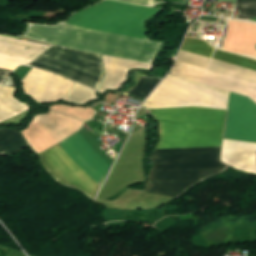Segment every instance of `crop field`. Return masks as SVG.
<instances>
[{
	"label": "crop field",
	"mask_w": 256,
	"mask_h": 256,
	"mask_svg": "<svg viewBox=\"0 0 256 256\" xmlns=\"http://www.w3.org/2000/svg\"><path fill=\"white\" fill-rule=\"evenodd\" d=\"M160 123L155 149L221 146L226 111L203 108L149 110ZM221 147L153 150L154 168L144 191L178 198L188 188L230 167Z\"/></svg>",
	"instance_id": "8a807250"
},
{
	"label": "crop field",
	"mask_w": 256,
	"mask_h": 256,
	"mask_svg": "<svg viewBox=\"0 0 256 256\" xmlns=\"http://www.w3.org/2000/svg\"><path fill=\"white\" fill-rule=\"evenodd\" d=\"M236 8L239 11L237 18L245 20L256 19V0H237Z\"/></svg>",
	"instance_id": "d9b57169"
},
{
	"label": "crop field",
	"mask_w": 256,
	"mask_h": 256,
	"mask_svg": "<svg viewBox=\"0 0 256 256\" xmlns=\"http://www.w3.org/2000/svg\"><path fill=\"white\" fill-rule=\"evenodd\" d=\"M74 82L48 72L32 68L22 80L25 94L38 102L60 100Z\"/></svg>",
	"instance_id": "e52e79f7"
},
{
	"label": "crop field",
	"mask_w": 256,
	"mask_h": 256,
	"mask_svg": "<svg viewBox=\"0 0 256 256\" xmlns=\"http://www.w3.org/2000/svg\"><path fill=\"white\" fill-rule=\"evenodd\" d=\"M30 66L42 68L97 89L103 69L101 56L52 45Z\"/></svg>",
	"instance_id": "f4fd0767"
},
{
	"label": "crop field",
	"mask_w": 256,
	"mask_h": 256,
	"mask_svg": "<svg viewBox=\"0 0 256 256\" xmlns=\"http://www.w3.org/2000/svg\"><path fill=\"white\" fill-rule=\"evenodd\" d=\"M157 10L159 9L106 0L78 12L66 24L93 31L147 39L143 29L144 20ZM66 24L47 26L29 23L24 37L75 50L150 64L160 44L147 41L148 39L93 32Z\"/></svg>",
	"instance_id": "ac0d7876"
},
{
	"label": "crop field",
	"mask_w": 256,
	"mask_h": 256,
	"mask_svg": "<svg viewBox=\"0 0 256 256\" xmlns=\"http://www.w3.org/2000/svg\"><path fill=\"white\" fill-rule=\"evenodd\" d=\"M28 146L25 139L16 130H0V155L12 154Z\"/></svg>",
	"instance_id": "22f410ed"
},
{
	"label": "crop field",
	"mask_w": 256,
	"mask_h": 256,
	"mask_svg": "<svg viewBox=\"0 0 256 256\" xmlns=\"http://www.w3.org/2000/svg\"><path fill=\"white\" fill-rule=\"evenodd\" d=\"M95 99H97V97L94 91L75 83L62 101H68L75 104H85Z\"/></svg>",
	"instance_id": "cbeb9de0"
},
{
	"label": "crop field",
	"mask_w": 256,
	"mask_h": 256,
	"mask_svg": "<svg viewBox=\"0 0 256 256\" xmlns=\"http://www.w3.org/2000/svg\"><path fill=\"white\" fill-rule=\"evenodd\" d=\"M225 138L256 143V104L231 92Z\"/></svg>",
	"instance_id": "dd49c442"
},
{
	"label": "crop field",
	"mask_w": 256,
	"mask_h": 256,
	"mask_svg": "<svg viewBox=\"0 0 256 256\" xmlns=\"http://www.w3.org/2000/svg\"><path fill=\"white\" fill-rule=\"evenodd\" d=\"M230 92L168 75L142 105L146 108L205 106L227 109Z\"/></svg>",
	"instance_id": "412701ff"
},
{
	"label": "crop field",
	"mask_w": 256,
	"mask_h": 256,
	"mask_svg": "<svg viewBox=\"0 0 256 256\" xmlns=\"http://www.w3.org/2000/svg\"><path fill=\"white\" fill-rule=\"evenodd\" d=\"M117 1L127 2L131 4H138V5L152 6V0H117Z\"/></svg>",
	"instance_id": "733c2abd"
},
{
	"label": "crop field",
	"mask_w": 256,
	"mask_h": 256,
	"mask_svg": "<svg viewBox=\"0 0 256 256\" xmlns=\"http://www.w3.org/2000/svg\"><path fill=\"white\" fill-rule=\"evenodd\" d=\"M57 145L99 187L109 167L91 151L79 135L75 133ZM57 145L39 154L43 167L56 181L81 190L93 200L99 188L62 154Z\"/></svg>",
	"instance_id": "34b2d1b8"
},
{
	"label": "crop field",
	"mask_w": 256,
	"mask_h": 256,
	"mask_svg": "<svg viewBox=\"0 0 256 256\" xmlns=\"http://www.w3.org/2000/svg\"><path fill=\"white\" fill-rule=\"evenodd\" d=\"M48 46L0 36V52L36 57ZM0 53V68L13 70L20 64H29L34 58ZM0 69V82L11 71Z\"/></svg>",
	"instance_id": "d8731c3e"
},
{
	"label": "crop field",
	"mask_w": 256,
	"mask_h": 256,
	"mask_svg": "<svg viewBox=\"0 0 256 256\" xmlns=\"http://www.w3.org/2000/svg\"><path fill=\"white\" fill-rule=\"evenodd\" d=\"M13 90L0 87V123L17 116L28 107L12 97Z\"/></svg>",
	"instance_id": "d1516ede"
},
{
	"label": "crop field",
	"mask_w": 256,
	"mask_h": 256,
	"mask_svg": "<svg viewBox=\"0 0 256 256\" xmlns=\"http://www.w3.org/2000/svg\"><path fill=\"white\" fill-rule=\"evenodd\" d=\"M160 79L156 77L143 76L138 85L131 91H129V93L145 99L149 95V93L156 87Z\"/></svg>",
	"instance_id": "5142ce71"
},
{
	"label": "crop field",
	"mask_w": 256,
	"mask_h": 256,
	"mask_svg": "<svg viewBox=\"0 0 256 256\" xmlns=\"http://www.w3.org/2000/svg\"><path fill=\"white\" fill-rule=\"evenodd\" d=\"M220 161L256 174V144L224 140Z\"/></svg>",
	"instance_id": "5a996713"
},
{
	"label": "crop field",
	"mask_w": 256,
	"mask_h": 256,
	"mask_svg": "<svg viewBox=\"0 0 256 256\" xmlns=\"http://www.w3.org/2000/svg\"><path fill=\"white\" fill-rule=\"evenodd\" d=\"M181 50L256 71V60L214 50L201 40L186 38Z\"/></svg>",
	"instance_id": "28ad6ade"
},
{
	"label": "crop field",
	"mask_w": 256,
	"mask_h": 256,
	"mask_svg": "<svg viewBox=\"0 0 256 256\" xmlns=\"http://www.w3.org/2000/svg\"><path fill=\"white\" fill-rule=\"evenodd\" d=\"M103 56V55H102ZM104 63V79L98 91L104 93L105 90L118 89L126 79V74L133 68L150 70L153 65L127 61L122 59L103 56Z\"/></svg>",
	"instance_id": "3316defc"
}]
</instances>
